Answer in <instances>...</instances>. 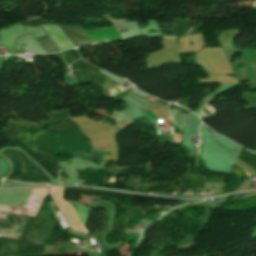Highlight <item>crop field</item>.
Segmentation results:
<instances>
[{"mask_svg": "<svg viewBox=\"0 0 256 256\" xmlns=\"http://www.w3.org/2000/svg\"><path fill=\"white\" fill-rule=\"evenodd\" d=\"M86 151H91L93 154L92 155L86 154L85 153ZM70 154H72L74 157L91 160V161H94L95 159L103 157V156H107V153L97 151L93 148L87 149L85 151L71 152Z\"/></svg>", "mask_w": 256, "mask_h": 256, "instance_id": "412701ff", "label": "crop field"}, {"mask_svg": "<svg viewBox=\"0 0 256 256\" xmlns=\"http://www.w3.org/2000/svg\"><path fill=\"white\" fill-rule=\"evenodd\" d=\"M243 172L246 173V174L249 175V176L251 175V174H249V173H248L247 171H245V170H243Z\"/></svg>", "mask_w": 256, "mask_h": 256, "instance_id": "e52e79f7", "label": "crop field"}, {"mask_svg": "<svg viewBox=\"0 0 256 256\" xmlns=\"http://www.w3.org/2000/svg\"><path fill=\"white\" fill-rule=\"evenodd\" d=\"M13 162L14 170L7 179L33 183H53L51 177L18 149L0 151Z\"/></svg>", "mask_w": 256, "mask_h": 256, "instance_id": "34b2d1b8", "label": "crop field"}, {"mask_svg": "<svg viewBox=\"0 0 256 256\" xmlns=\"http://www.w3.org/2000/svg\"><path fill=\"white\" fill-rule=\"evenodd\" d=\"M48 188L33 189L25 206H4L0 205V216H28L35 217L46 194ZM25 217H0V232L16 234ZM30 218H25L17 235L1 234L4 239L19 247L22 233Z\"/></svg>", "mask_w": 256, "mask_h": 256, "instance_id": "8a807250", "label": "crop field"}, {"mask_svg": "<svg viewBox=\"0 0 256 256\" xmlns=\"http://www.w3.org/2000/svg\"><path fill=\"white\" fill-rule=\"evenodd\" d=\"M67 37L71 40L74 46H82L85 44L92 43L83 30L76 26L71 25H59ZM58 25H42L43 29L46 30L48 35L54 40L60 50L74 47L66 35L62 32ZM37 39L38 43L45 50L46 53L59 51V48L50 38Z\"/></svg>", "mask_w": 256, "mask_h": 256, "instance_id": "ac0d7876", "label": "crop field"}, {"mask_svg": "<svg viewBox=\"0 0 256 256\" xmlns=\"http://www.w3.org/2000/svg\"><path fill=\"white\" fill-rule=\"evenodd\" d=\"M250 85H251L250 90L255 89L256 88V81L251 82ZM247 100L251 103V105L256 106V97L248 96Z\"/></svg>", "mask_w": 256, "mask_h": 256, "instance_id": "f4fd0767", "label": "crop field"}, {"mask_svg": "<svg viewBox=\"0 0 256 256\" xmlns=\"http://www.w3.org/2000/svg\"><path fill=\"white\" fill-rule=\"evenodd\" d=\"M146 116H147V118L150 120V121H152L153 123H155V122H157L156 120H157V118H156V116L153 114V112L152 111H150V110H144V112H143Z\"/></svg>", "mask_w": 256, "mask_h": 256, "instance_id": "dd49c442", "label": "crop field"}]
</instances>
